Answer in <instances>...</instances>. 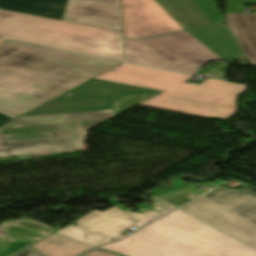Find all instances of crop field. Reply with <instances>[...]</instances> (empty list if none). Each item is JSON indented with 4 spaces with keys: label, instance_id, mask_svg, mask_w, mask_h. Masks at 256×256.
I'll return each mask as SVG.
<instances>
[{
    "label": "crop field",
    "instance_id": "5a996713",
    "mask_svg": "<svg viewBox=\"0 0 256 256\" xmlns=\"http://www.w3.org/2000/svg\"><path fill=\"white\" fill-rule=\"evenodd\" d=\"M123 37L130 39L182 31L154 0H121Z\"/></svg>",
    "mask_w": 256,
    "mask_h": 256
},
{
    "label": "crop field",
    "instance_id": "f4fd0767",
    "mask_svg": "<svg viewBox=\"0 0 256 256\" xmlns=\"http://www.w3.org/2000/svg\"><path fill=\"white\" fill-rule=\"evenodd\" d=\"M0 38L123 61L122 33L0 10Z\"/></svg>",
    "mask_w": 256,
    "mask_h": 256
},
{
    "label": "crop field",
    "instance_id": "28ad6ade",
    "mask_svg": "<svg viewBox=\"0 0 256 256\" xmlns=\"http://www.w3.org/2000/svg\"><path fill=\"white\" fill-rule=\"evenodd\" d=\"M131 227L138 229L142 226L118 218H96L79 227L70 225L56 233L96 246L122 237L120 232Z\"/></svg>",
    "mask_w": 256,
    "mask_h": 256
},
{
    "label": "crop field",
    "instance_id": "d9b57169",
    "mask_svg": "<svg viewBox=\"0 0 256 256\" xmlns=\"http://www.w3.org/2000/svg\"><path fill=\"white\" fill-rule=\"evenodd\" d=\"M33 247L44 256H78L93 246L55 233Z\"/></svg>",
    "mask_w": 256,
    "mask_h": 256
},
{
    "label": "crop field",
    "instance_id": "4a817a6b",
    "mask_svg": "<svg viewBox=\"0 0 256 256\" xmlns=\"http://www.w3.org/2000/svg\"><path fill=\"white\" fill-rule=\"evenodd\" d=\"M256 2V0H227L226 12H239V3Z\"/></svg>",
    "mask_w": 256,
    "mask_h": 256
},
{
    "label": "crop field",
    "instance_id": "dd49c442",
    "mask_svg": "<svg viewBox=\"0 0 256 256\" xmlns=\"http://www.w3.org/2000/svg\"><path fill=\"white\" fill-rule=\"evenodd\" d=\"M124 61L194 75L209 61L222 60L186 31L138 40L123 38Z\"/></svg>",
    "mask_w": 256,
    "mask_h": 256
},
{
    "label": "crop field",
    "instance_id": "214f88e0",
    "mask_svg": "<svg viewBox=\"0 0 256 256\" xmlns=\"http://www.w3.org/2000/svg\"><path fill=\"white\" fill-rule=\"evenodd\" d=\"M16 117L17 116H14L12 114H9V113H6V112L0 110V126Z\"/></svg>",
    "mask_w": 256,
    "mask_h": 256
},
{
    "label": "crop field",
    "instance_id": "412701ff",
    "mask_svg": "<svg viewBox=\"0 0 256 256\" xmlns=\"http://www.w3.org/2000/svg\"><path fill=\"white\" fill-rule=\"evenodd\" d=\"M216 229L175 210L121 241L100 246L128 256H256L231 247Z\"/></svg>",
    "mask_w": 256,
    "mask_h": 256
},
{
    "label": "crop field",
    "instance_id": "8a807250",
    "mask_svg": "<svg viewBox=\"0 0 256 256\" xmlns=\"http://www.w3.org/2000/svg\"><path fill=\"white\" fill-rule=\"evenodd\" d=\"M145 88L91 79L0 128V157L81 150L86 130L113 117L111 104Z\"/></svg>",
    "mask_w": 256,
    "mask_h": 256
},
{
    "label": "crop field",
    "instance_id": "733c2abd",
    "mask_svg": "<svg viewBox=\"0 0 256 256\" xmlns=\"http://www.w3.org/2000/svg\"><path fill=\"white\" fill-rule=\"evenodd\" d=\"M28 248L27 244L0 241V256H14Z\"/></svg>",
    "mask_w": 256,
    "mask_h": 256
},
{
    "label": "crop field",
    "instance_id": "d8731c3e",
    "mask_svg": "<svg viewBox=\"0 0 256 256\" xmlns=\"http://www.w3.org/2000/svg\"><path fill=\"white\" fill-rule=\"evenodd\" d=\"M0 9L122 32L120 0H0Z\"/></svg>",
    "mask_w": 256,
    "mask_h": 256
},
{
    "label": "crop field",
    "instance_id": "d1516ede",
    "mask_svg": "<svg viewBox=\"0 0 256 256\" xmlns=\"http://www.w3.org/2000/svg\"><path fill=\"white\" fill-rule=\"evenodd\" d=\"M204 196L256 224V193L218 187Z\"/></svg>",
    "mask_w": 256,
    "mask_h": 256
},
{
    "label": "crop field",
    "instance_id": "34b2d1b8",
    "mask_svg": "<svg viewBox=\"0 0 256 256\" xmlns=\"http://www.w3.org/2000/svg\"><path fill=\"white\" fill-rule=\"evenodd\" d=\"M191 76L121 63L94 77L163 91L141 105L202 116L232 119L235 98L247 86L206 78L199 86L185 83Z\"/></svg>",
    "mask_w": 256,
    "mask_h": 256
},
{
    "label": "crop field",
    "instance_id": "e52e79f7",
    "mask_svg": "<svg viewBox=\"0 0 256 256\" xmlns=\"http://www.w3.org/2000/svg\"><path fill=\"white\" fill-rule=\"evenodd\" d=\"M184 30L227 62L245 59L212 0H155Z\"/></svg>",
    "mask_w": 256,
    "mask_h": 256
},
{
    "label": "crop field",
    "instance_id": "cbeb9de0",
    "mask_svg": "<svg viewBox=\"0 0 256 256\" xmlns=\"http://www.w3.org/2000/svg\"><path fill=\"white\" fill-rule=\"evenodd\" d=\"M226 22L251 65L256 66V15L227 14Z\"/></svg>",
    "mask_w": 256,
    "mask_h": 256
},
{
    "label": "crop field",
    "instance_id": "22f410ed",
    "mask_svg": "<svg viewBox=\"0 0 256 256\" xmlns=\"http://www.w3.org/2000/svg\"><path fill=\"white\" fill-rule=\"evenodd\" d=\"M58 230L23 217L0 225V239L25 241L34 245Z\"/></svg>",
    "mask_w": 256,
    "mask_h": 256
},
{
    "label": "crop field",
    "instance_id": "5142ce71",
    "mask_svg": "<svg viewBox=\"0 0 256 256\" xmlns=\"http://www.w3.org/2000/svg\"><path fill=\"white\" fill-rule=\"evenodd\" d=\"M152 197H153V209H155L156 211H149L145 214L130 213V212L123 213L121 209H119L117 207H113L105 212L94 211V212L90 213L89 215H87L84 218L80 219L79 221L75 222V223H77L76 226H79V225L85 223L86 221H88L92 218H96V217H119V218L126 219L136 225L139 223L144 226L153 220L151 218H153V217L157 218V217L163 215L164 213L176 208V207L158 199L155 196H152Z\"/></svg>",
    "mask_w": 256,
    "mask_h": 256
},
{
    "label": "crop field",
    "instance_id": "3316defc",
    "mask_svg": "<svg viewBox=\"0 0 256 256\" xmlns=\"http://www.w3.org/2000/svg\"><path fill=\"white\" fill-rule=\"evenodd\" d=\"M179 209L256 250V226L206 198L201 196Z\"/></svg>",
    "mask_w": 256,
    "mask_h": 256
},
{
    "label": "crop field",
    "instance_id": "ac0d7876",
    "mask_svg": "<svg viewBox=\"0 0 256 256\" xmlns=\"http://www.w3.org/2000/svg\"><path fill=\"white\" fill-rule=\"evenodd\" d=\"M119 63L9 41L0 47V109L20 116Z\"/></svg>",
    "mask_w": 256,
    "mask_h": 256
},
{
    "label": "crop field",
    "instance_id": "00972430",
    "mask_svg": "<svg viewBox=\"0 0 256 256\" xmlns=\"http://www.w3.org/2000/svg\"><path fill=\"white\" fill-rule=\"evenodd\" d=\"M7 42V40H2V39H0V46H2L4 43H6Z\"/></svg>",
    "mask_w": 256,
    "mask_h": 256
},
{
    "label": "crop field",
    "instance_id": "92a150f3",
    "mask_svg": "<svg viewBox=\"0 0 256 256\" xmlns=\"http://www.w3.org/2000/svg\"><path fill=\"white\" fill-rule=\"evenodd\" d=\"M83 256H117L104 251H91Z\"/></svg>",
    "mask_w": 256,
    "mask_h": 256
},
{
    "label": "crop field",
    "instance_id": "dafd665d",
    "mask_svg": "<svg viewBox=\"0 0 256 256\" xmlns=\"http://www.w3.org/2000/svg\"><path fill=\"white\" fill-rule=\"evenodd\" d=\"M30 248V247H29ZM16 256H42L41 254H39L37 251H35L33 248H30Z\"/></svg>",
    "mask_w": 256,
    "mask_h": 256
},
{
    "label": "crop field",
    "instance_id": "bc2a9ffb",
    "mask_svg": "<svg viewBox=\"0 0 256 256\" xmlns=\"http://www.w3.org/2000/svg\"><path fill=\"white\" fill-rule=\"evenodd\" d=\"M216 232L219 233L223 238H225L230 243L231 246L239 248V249L247 251V252L254 251L253 249L243 245L242 243L232 239L231 237H229V236H227V235H225V234H223V233H221L217 230H216Z\"/></svg>",
    "mask_w": 256,
    "mask_h": 256
}]
</instances>
